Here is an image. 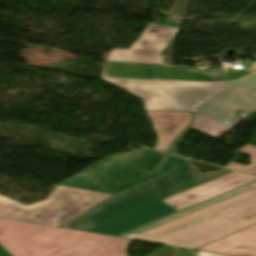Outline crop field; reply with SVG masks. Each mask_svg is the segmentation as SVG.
<instances>
[{"mask_svg": "<svg viewBox=\"0 0 256 256\" xmlns=\"http://www.w3.org/2000/svg\"><path fill=\"white\" fill-rule=\"evenodd\" d=\"M0 256H10V255L0 247Z\"/></svg>", "mask_w": 256, "mask_h": 256, "instance_id": "obj_14", "label": "crop field"}, {"mask_svg": "<svg viewBox=\"0 0 256 256\" xmlns=\"http://www.w3.org/2000/svg\"><path fill=\"white\" fill-rule=\"evenodd\" d=\"M190 128H194L215 139L228 131L196 114H194V120Z\"/></svg>", "mask_w": 256, "mask_h": 256, "instance_id": "obj_10", "label": "crop field"}, {"mask_svg": "<svg viewBox=\"0 0 256 256\" xmlns=\"http://www.w3.org/2000/svg\"><path fill=\"white\" fill-rule=\"evenodd\" d=\"M178 28L149 24L129 50L112 49L102 78L142 99L145 110L197 113L219 125L233 128L237 110L256 107V72L230 71L207 76L193 68L169 69L158 54Z\"/></svg>", "mask_w": 256, "mask_h": 256, "instance_id": "obj_1", "label": "crop field"}, {"mask_svg": "<svg viewBox=\"0 0 256 256\" xmlns=\"http://www.w3.org/2000/svg\"><path fill=\"white\" fill-rule=\"evenodd\" d=\"M256 225V183L124 236L194 249Z\"/></svg>", "mask_w": 256, "mask_h": 256, "instance_id": "obj_3", "label": "crop field"}, {"mask_svg": "<svg viewBox=\"0 0 256 256\" xmlns=\"http://www.w3.org/2000/svg\"><path fill=\"white\" fill-rule=\"evenodd\" d=\"M163 153L143 150L113 155L60 184L113 194L162 174L153 171Z\"/></svg>", "mask_w": 256, "mask_h": 256, "instance_id": "obj_5", "label": "crop field"}, {"mask_svg": "<svg viewBox=\"0 0 256 256\" xmlns=\"http://www.w3.org/2000/svg\"><path fill=\"white\" fill-rule=\"evenodd\" d=\"M239 153L250 155L251 156L250 162H252V164L248 166H242V165L230 162L226 166V168L256 175V147L245 145L242 149L239 150Z\"/></svg>", "mask_w": 256, "mask_h": 256, "instance_id": "obj_11", "label": "crop field"}, {"mask_svg": "<svg viewBox=\"0 0 256 256\" xmlns=\"http://www.w3.org/2000/svg\"><path fill=\"white\" fill-rule=\"evenodd\" d=\"M146 113L152 120L157 134L158 143L155 149L164 152L168 150L174 138L192 121L191 113L156 111H146Z\"/></svg>", "mask_w": 256, "mask_h": 256, "instance_id": "obj_7", "label": "crop field"}, {"mask_svg": "<svg viewBox=\"0 0 256 256\" xmlns=\"http://www.w3.org/2000/svg\"><path fill=\"white\" fill-rule=\"evenodd\" d=\"M196 250L232 256H256V226L199 247Z\"/></svg>", "mask_w": 256, "mask_h": 256, "instance_id": "obj_8", "label": "crop field"}, {"mask_svg": "<svg viewBox=\"0 0 256 256\" xmlns=\"http://www.w3.org/2000/svg\"><path fill=\"white\" fill-rule=\"evenodd\" d=\"M167 67H169V68H176V69L183 68V67H172V66H167Z\"/></svg>", "mask_w": 256, "mask_h": 256, "instance_id": "obj_15", "label": "crop field"}, {"mask_svg": "<svg viewBox=\"0 0 256 256\" xmlns=\"http://www.w3.org/2000/svg\"><path fill=\"white\" fill-rule=\"evenodd\" d=\"M247 69H252V70H256V62H250L247 63L246 67Z\"/></svg>", "mask_w": 256, "mask_h": 256, "instance_id": "obj_13", "label": "crop field"}, {"mask_svg": "<svg viewBox=\"0 0 256 256\" xmlns=\"http://www.w3.org/2000/svg\"><path fill=\"white\" fill-rule=\"evenodd\" d=\"M111 238L0 218V244L12 256H75Z\"/></svg>", "mask_w": 256, "mask_h": 256, "instance_id": "obj_4", "label": "crop field"}, {"mask_svg": "<svg viewBox=\"0 0 256 256\" xmlns=\"http://www.w3.org/2000/svg\"><path fill=\"white\" fill-rule=\"evenodd\" d=\"M133 240L116 238L103 243L79 256H127L125 250Z\"/></svg>", "mask_w": 256, "mask_h": 256, "instance_id": "obj_9", "label": "crop field"}, {"mask_svg": "<svg viewBox=\"0 0 256 256\" xmlns=\"http://www.w3.org/2000/svg\"><path fill=\"white\" fill-rule=\"evenodd\" d=\"M112 195L57 186L45 202L30 206L0 195V217L59 226ZM60 227V226H59Z\"/></svg>", "mask_w": 256, "mask_h": 256, "instance_id": "obj_6", "label": "crop field"}, {"mask_svg": "<svg viewBox=\"0 0 256 256\" xmlns=\"http://www.w3.org/2000/svg\"><path fill=\"white\" fill-rule=\"evenodd\" d=\"M156 170L167 174L115 195L63 227L116 236L256 180L227 169L202 174L188 160L170 155Z\"/></svg>", "mask_w": 256, "mask_h": 256, "instance_id": "obj_2", "label": "crop field"}, {"mask_svg": "<svg viewBox=\"0 0 256 256\" xmlns=\"http://www.w3.org/2000/svg\"><path fill=\"white\" fill-rule=\"evenodd\" d=\"M198 256H226V255H220V254L199 251Z\"/></svg>", "mask_w": 256, "mask_h": 256, "instance_id": "obj_12", "label": "crop field"}]
</instances>
